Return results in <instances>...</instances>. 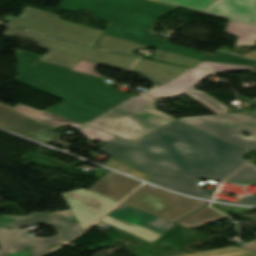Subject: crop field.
Listing matches in <instances>:
<instances>
[{
  "mask_svg": "<svg viewBox=\"0 0 256 256\" xmlns=\"http://www.w3.org/2000/svg\"><path fill=\"white\" fill-rule=\"evenodd\" d=\"M10 108L0 104V127L46 144L55 142L65 147L68 146L69 143L60 140L63 134L52 131L27 117L17 114L9 110Z\"/></svg>",
  "mask_w": 256,
  "mask_h": 256,
  "instance_id": "obj_13",
  "label": "crop field"
},
{
  "mask_svg": "<svg viewBox=\"0 0 256 256\" xmlns=\"http://www.w3.org/2000/svg\"><path fill=\"white\" fill-rule=\"evenodd\" d=\"M123 203L172 222L207 204L179 197L148 185L141 187Z\"/></svg>",
  "mask_w": 256,
  "mask_h": 256,
  "instance_id": "obj_7",
  "label": "crop field"
},
{
  "mask_svg": "<svg viewBox=\"0 0 256 256\" xmlns=\"http://www.w3.org/2000/svg\"><path fill=\"white\" fill-rule=\"evenodd\" d=\"M179 121L246 150L256 149V118L248 114L180 118ZM243 131L252 134V136L248 138L242 136Z\"/></svg>",
  "mask_w": 256,
  "mask_h": 256,
  "instance_id": "obj_6",
  "label": "crop field"
},
{
  "mask_svg": "<svg viewBox=\"0 0 256 256\" xmlns=\"http://www.w3.org/2000/svg\"><path fill=\"white\" fill-rule=\"evenodd\" d=\"M97 66V64L81 61L79 62L72 70L92 74L99 76L95 71L94 68Z\"/></svg>",
  "mask_w": 256,
  "mask_h": 256,
  "instance_id": "obj_34",
  "label": "crop field"
},
{
  "mask_svg": "<svg viewBox=\"0 0 256 256\" xmlns=\"http://www.w3.org/2000/svg\"><path fill=\"white\" fill-rule=\"evenodd\" d=\"M226 181L256 184V166L249 163Z\"/></svg>",
  "mask_w": 256,
  "mask_h": 256,
  "instance_id": "obj_28",
  "label": "crop field"
},
{
  "mask_svg": "<svg viewBox=\"0 0 256 256\" xmlns=\"http://www.w3.org/2000/svg\"><path fill=\"white\" fill-rule=\"evenodd\" d=\"M19 17L96 38H99L100 34L102 33V30L85 27L68 21H62L59 20V15L48 13L31 7L25 8Z\"/></svg>",
  "mask_w": 256,
  "mask_h": 256,
  "instance_id": "obj_16",
  "label": "crop field"
},
{
  "mask_svg": "<svg viewBox=\"0 0 256 256\" xmlns=\"http://www.w3.org/2000/svg\"><path fill=\"white\" fill-rule=\"evenodd\" d=\"M81 132L84 136H86L88 139H90L91 141L93 140H99L102 142H109L110 140H112L113 138H115L116 136H113L111 134L102 132L100 130L94 129L92 127H85L84 129H82Z\"/></svg>",
  "mask_w": 256,
  "mask_h": 256,
  "instance_id": "obj_32",
  "label": "crop field"
},
{
  "mask_svg": "<svg viewBox=\"0 0 256 256\" xmlns=\"http://www.w3.org/2000/svg\"><path fill=\"white\" fill-rule=\"evenodd\" d=\"M242 246L244 248H247L249 250L256 252V241L255 240L252 242L244 243V244H242Z\"/></svg>",
  "mask_w": 256,
  "mask_h": 256,
  "instance_id": "obj_36",
  "label": "crop field"
},
{
  "mask_svg": "<svg viewBox=\"0 0 256 256\" xmlns=\"http://www.w3.org/2000/svg\"><path fill=\"white\" fill-rule=\"evenodd\" d=\"M60 244L58 236L36 238L26 231L0 230V256H38Z\"/></svg>",
  "mask_w": 256,
  "mask_h": 256,
  "instance_id": "obj_10",
  "label": "crop field"
},
{
  "mask_svg": "<svg viewBox=\"0 0 256 256\" xmlns=\"http://www.w3.org/2000/svg\"><path fill=\"white\" fill-rule=\"evenodd\" d=\"M8 33L31 39L41 48L49 51L39 61L72 69L80 60L102 63L114 67L129 68L136 57H130L109 52L97 51L91 48L67 43L38 34L26 32L11 27Z\"/></svg>",
  "mask_w": 256,
  "mask_h": 256,
  "instance_id": "obj_5",
  "label": "crop field"
},
{
  "mask_svg": "<svg viewBox=\"0 0 256 256\" xmlns=\"http://www.w3.org/2000/svg\"><path fill=\"white\" fill-rule=\"evenodd\" d=\"M188 69L190 68L139 59L131 70L147 76L154 83L165 85Z\"/></svg>",
  "mask_w": 256,
  "mask_h": 256,
  "instance_id": "obj_18",
  "label": "crop field"
},
{
  "mask_svg": "<svg viewBox=\"0 0 256 256\" xmlns=\"http://www.w3.org/2000/svg\"><path fill=\"white\" fill-rule=\"evenodd\" d=\"M195 68L220 72V71H225L230 69H242V68H252V67L202 61L198 65H196Z\"/></svg>",
  "mask_w": 256,
  "mask_h": 256,
  "instance_id": "obj_31",
  "label": "crop field"
},
{
  "mask_svg": "<svg viewBox=\"0 0 256 256\" xmlns=\"http://www.w3.org/2000/svg\"><path fill=\"white\" fill-rule=\"evenodd\" d=\"M203 12L256 25V0H215Z\"/></svg>",
  "mask_w": 256,
  "mask_h": 256,
  "instance_id": "obj_14",
  "label": "crop field"
},
{
  "mask_svg": "<svg viewBox=\"0 0 256 256\" xmlns=\"http://www.w3.org/2000/svg\"><path fill=\"white\" fill-rule=\"evenodd\" d=\"M177 8L149 0H63L59 9L70 12L85 10L94 13L93 17L152 30L159 18Z\"/></svg>",
  "mask_w": 256,
  "mask_h": 256,
  "instance_id": "obj_4",
  "label": "crop field"
},
{
  "mask_svg": "<svg viewBox=\"0 0 256 256\" xmlns=\"http://www.w3.org/2000/svg\"><path fill=\"white\" fill-rule=\"evenodd\" d=\"M161 50L156 52L154 59L166 61V62L178 64V65H183V66H189V67H192L198 62H200V60L180 56L177 54H173V53H169Z\"/></svg>",
  "mask_w": 256,
  "mask_h": 256,
  "instance_id": "obj_27",
  "label": "crop field"
},
{
  "mask_svg": "<svg viewBox=\"0 0 256 256\" xmlns=\"http://www.w3.org/2000/svg\"><path fill=\"white\" fill-rule=\"evenodd\" d=\"M188 87H179V86H157L150 92H148L147 95L152 97H167V96H173L176 94H180L182 92L187 91Z\"/></svg>",
  "mask_w": 256,
  "mask_h": 256,
  "instance_id": "obj_30",
  "label": "crop field"
},
{
  "mask_svg": "<svg viewBox=\"0 0 256 256\" xmlns=\"http://www.w3.org/2000/svg\"><path fill=\"white\" fill-rule=\"evenodd\" d=\"M215 201L256 205V191L251 196L243 198V199L239 200L238 202H233V201H228V200H223V199H218V200H215Z\"/></svg>",
  "mask_w": 256,
  "mask_h": 256,
  "instance_id": "obj_35",
  "label": "crop field"
},
{
  "mask_svg": "<svg viewBox=\"0 0 256 256\" xmlns=\"http://www.w3.org/2000/svg\"><path fill=\"white\" fill-rule=\"evenodd\" d=\"M100 221L150 244L175 224L121 203Z\"/></svg>",
  "mask_w": 256,
  "mask_h": 256,
  "instance_id": "obj_8",
  "label": "crop field"
},
{
  "mask_svg": "<svg viewBox=\"0 0 256 256\" xmlns=\"http://www.w3.org/2000/svg\"><path fill=\"white\" fill-rule=\"evenodd\" d=\"M11 110H13L17 113H20L24 116H27L33 120H36L39 123L51 128L53 130L63 127V126H66V125H69L71 127L78 129L84 125V124L63 118L61 116L52 114L47 111H38V110L32 109L27 106H23V105H17L15 107H13Z\"/></svg>",
  "mask_w": 256,
  "mask_h": 256,
  "instance_id": "obj_19",
  "label": "crop field"
},
{
  "mask_svg": "<svg viewBox=\"0 0 256 256\" xmlns=\"http://www.w3.org/2000/svg\"><path fill=\"white\" fill-rule=\"evenodd\" d=\"M2 218L3 223L0 228L19 229L32 224H53L64 241L73 238L84 230L71 210L54 213H32L28 216H2ZM9 224L14 226H9Z\"/></svg>",
  "mask_w": 256,
  "mask_h": 256,
  "instance_id": "obj_11",
  "label": "crop field"
},
{
  "mask_svg": "<svg viewBox=\"0 0 256 256\" xmlns=\"http://www.w3.org/2000/svg\"><path fill=\"white\" fill-rule=\"evenodd\" d=\"M202 12L214 0H158Z\"/></svg>",
  "mask_w": 256,
  "mask_h": 256,
  "instance_id": "obj_29",
  "label": "crop field"
},
{
  "mask_svg": "<svg viewBox=\"0 0 256 256\" xmlns=\"http://www.w3.org/2000/svg\"><path fill=\"white\" fill-rule=\"evenodd\" d=\"M141 183L126 177L108 172L101 180L88 190L108 197L113 200H121Z\"/></svg>",
  "mask_w": 256,
  "mask_h": 256,
  "instance_id": "obj_15",
  "label": "crop field"
},
{
  "mask_svg": "<svg viewBox=\"0 0 256 256\" xmlns=\"http://www.w3.org/2000/svg\"><path fill=\"white\" fill-rule=\"evenodd\" d=\"M104 165H107L109 167H112L118 171H121V172H126V173H130L134 176H137V177H140V178H143L145 180L149 179L151 176L147 175V174H144L138 170H135L133 168H130L120 162H118L117 160L115 159H110L108 162L104 163Z\"/></svg>",
  "mask_w": 256,
  "mask_h": 256,
  "instance_id": "obj_33",
  "label": "crop field"
},
{
  "mask_svg": "<svg viewBox=\"0 0 256 256\" xmlns=\"http://www.w3.org/2000/svg\"><path fill=\"white\" fill-rule=\"evenodd\" d=\"M98 151L149 175L215 181L245 164L248 152L177 120L135 143L117 137Z\"/></svg>",
  "mask_w": 256,
  "mask_h": 256,
  "instance_id": "obj_1",
  "label": "crop field"
},
{
  "mask_svg": "<svg viewBox=\"0 0 256 256\" xmlns=\"http://www.w3.org/2000/svg\"><path fill=\"white\" fill-rule=\"evenodd\" d=\"M38 56L16 50L14 80L65 100L47 111L86 124L133 97L112 89L101 78L38 63Z\"/></svg>",
  "mask_w": 256,
  "mask_h": 256,
  "instance_id": "obj_2",
  "label": "crop field"
},
{
  "mask_svg": "<svg viewBox=\"0 0 256 256\" xmlns=\"http://www.w3.org/2000/svg\"><path fill=\"white\" fill-rule=\"evenodd\" d=\"M213 73L215 72L192 68L180 78L178 77L179 79H175L176 81L170 83L169 85L193 87L196 84V82L199 81L202 77Z\"/></svg>",
  "mask_w": 256,
  "mask_h": 256,
  "instance_id": "obj_26",
  "label": "crop field"
},
{
  "mask_svg": "<svg viewBox=\"0 0 256 256\" xmlns=\"http://www.w3.org/2000/svg\"><path fill=\"white\" fill-rule=\"evenodd\" d=\"M243 56L256 59V47H255L254 51H252L250 53H246Z\"/></svg>",
  "mask_w": 256,
  "mask_h": 256,
  "instance_id": "obj_37",
  "label": "crop field"
},
{
  "mask_svg": "<svg viewBox=\"0 0 256 256\" xmlns=\"http://www.w3.org/2000/svg\"><path fill=\"white\" fill-rule=\"evenodd\" d=\"M252 114L256 115V111L252 112Z\"/></svg>",
  "mask_w": 256,
  "mask_h": 256,
  "instance_id": "obj_38",
  "label": "crop field"
},
{
  "mask_svg": "<svg viewBox=\"0 0 256 256\" xmlns=\"http://www.w3.org/2000/svg\"><path fill=\"white\" fill-rule=\"evenodd\" d=\"M148 181L154 182L168 189L205 199H211L214 194L213 192L200 189L202 186L196 185L199 183V181L196 180L153 176Z\"/></svg>",
  "mask_w": 256,
  "mask_h": 256,
  "instance_id": "obj_20",
  "label": "crop field"
},
{
  "mask_svg": "<svg viewBox=\"0 0 256 256\" xmlns=\"http://www.w3.org/2000/svg\"><path fill=\"white\" fill-rule=\"evenodd\" d=\"M104 33L200 60L256 66L255 60L246 59L224 52L218 51L215 56H206L200 51L173 45L168 41L155 38V33L149 30L109 22Z\"/></svg>",
  "mask_w": 256,
  "mask_h": 256,
  "instance_id": "obj_9",
  "label": "crop field"
},
{
  "mask_svg": "<svg viewBox=\"0 0 256 256\" xmlns=\"http://www.w3.org/2000/svg\"><path fill=\"white\" fill-rule=\"evenodd\" d=\"M222 218H225V216L207 206L200 211L192 214L191 216L185 218L184 220L178 222V224L194 228L217 221Z\"/></svg>",
  "mask_w": 256,
  "mask_h": 256,
  "instance_id": "obj_22",
  "label": "crop field"
},
{
  "mask_svg": "<svg viewBox=\"0 0 256 256\" xmlns=\"http://www.w3.org/2000/svg\"><path fill=\"white\" fill-rule=\"evenodd\" d=\"M189 97L194 99L195 101L199 102L200 104L204 105L205 107L211 109L217 114H227L228 107L224 106L218 100L213 98L212 96L208 95L205 92L197 91L193 89L192 91L186 93ZM210 110V111H211Z\"/></svg>",
  "mask_w": 256,
  "mask_h": 256,
  "instance_id": "obj_24",
  "label": "crop field"
},
{
  "mask_svg": "<svg viewBox=\"0 0 256 256\" xmlns=\"http://www.w3.org/2000/svg\"><path fill=\"white\" fill-rule=\"evenodd\" d=\"M61 194L84 229L117 203L85 189Z\"/></svg>",
  "mask_w": 256,
  "mask_h": 256,
  "instance_id": "obj_12",
  "label": "crop field"
},
{
  "mask_svg": "<svg viewBox=\"0 0 256 256\" xmlns=\"http://www.w3.org/2000/svg\"><path fill=\"white\" fill-rule=\"evenodd\" d=\"M180 256H256V255L238 247H230V248L203 251V252L193 253L191 255H180Z\"/></svg>",
  "mask_w": 256,
  "mask_h": 256,
  "instance_id": "obj_25",
  "label": "crop field"
},
{
  "mask_svg": "<svg viewBox=\"0 0 256 256\" xmlns=\"http://www.w3.org/2000/svg\"><path fill=\"white\" fill-rule=\"evenodd\" d=\"M98 45L102 46L104 49L126 53L130 55L133 54L135 48H140V49L148 48L145 45L130 42L127 40H123V39L112 37L105 34H103V36L101 37Z\"/></svg>",
  "mask_w": 256,
  "mask_h": 256,
  "instance_id": "obj_23",
  "label": "crop field"
},
{
  "mask_svg": "<svg viewBox=\"0 0 256 256\" xmlns=\"http://www.w3.org/2000/svg\"><path fill=\"white\" fill-rule=\"evenodd\" d=\"M4 18L11 26L23 28L26 30H30V31H34V32H38V33H42V34H46V35H50V36H54V37L63 38V39L69 40V41H73V42L91 46V47H94V45L97 41L96 38H92V37L80 35L77 33L45 26V25L35 23V22L29 21V20L16 18L14 16H8V17H4Z\"/></svg>",
  "mask_w": 256,
  "mask_h": 256,
  "instance_id": "obj_17",
  "label": "crop field"
},
{
  "mask_svg": "<svg viewBox=\"0 0 256 256\" xmlns=\"http://www.w3.org/2000/svg\"><path fill=\"white\" fill-rule=\"evenodd\" d=\"M156 101L141 95L89 126L135 142L175 120L156 110Z\"/></svg>",
  "mask_w": 256,
  "mask_h": 256,
  "instance_id": "obj_3",
  "label": "crop field"
},
{
  "mask_svg": "<svg viewBox=\"0 0 256 256\" xmlns=\"http://www.w3.org/2000/svg\"><path fill=\"white\" fill-rule=\"evenodd\" d=\"M224 33H232L239 36L236 47L242 45H256V27L229 21Z\"/></svg>",
  "mask_w": 256,
  "mask_h": 256,
  "instance_id": "obj_21",
  "label": "crop field"
}]
</instances>
